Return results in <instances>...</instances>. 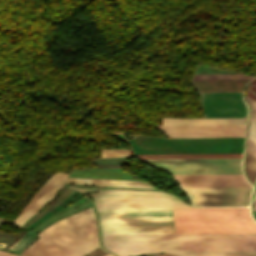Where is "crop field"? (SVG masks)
Instances as JSON below:
<instances>
[{"label": "crop field", "mask_w": 256, "mask_h": 256, "mask_svg": "<svg viewBox=\"0 0 256 256\" xmlns=\"http://www.w3.org/2000/svg\"><path fill=\"white\" fill-rule=\"evenodd\" d=\"M206 117H246L242 92L200 93Z\"/></svg>", "instance_id": "9"}, {"label": "crop field", "mask_w": 256, "mask_h": 256, "mask_svg": "<svg viewBox=\"0 0 256 256\" xmlns=\"http://www.w3.org/2000/svg\"><path fill=\"white\" fill-rule=\"evenodd\" d=\"M105 254H108V253L104 252L101 247H98L93 252H91L88 256H102Z\"/></svg>", "instance_id": "23"}, {"label": "crop field", "mask_w": 256, "mask_h": 256, "mask_svg": "<svg viewBox=\"0 0 256 256\" xmlns=\"http://www.w3.org/2000/svg\"><path fill=\"white\" fill-rule=\"evenodd\" d=\"M252 76L245 74H215V75H195L193 80H221V79H251Z\"/></svg>", "instance_id": "17"}, {"label": "crop field", "mask_w": 256, "mask_h": 256, "mask_svg": "<svg viewBox=\"0 0 256 256\" xmlns=\"http://www.w3.org/2000/svg\"><path fill=\"white\" fill-rule=\"evenodd\" d=\"M101 237L104 247L122 256L170 251L182 256L256 255V233L138 234ZM153 256L179 255L171 252Z\"/></svg>", "instance_id": "2"}, {"label": "crop field", "mask_w": 256, "mask_h": 256, "mask_svg": "<svg viewBox=\"0 0 256 256\" xmlns=\"http://www.w3.org/2000/svg\"><path fill=\"white\" fill-rule=\"evenodd\" d=\"M170 137L244 136L245 125L156 126Z\"/></svg>", "instance_id": "10"}, {"label": "crop field", "mask_w": 256, "mask_h": 256, "mask_svg": "<svg viewBox=\"0 0 256 256\" xmlns=\"http://www.w3.org/2000/svg\"><path fill=\"white\" fill-rule=\"evenodd\" d=\"M183 187L250 186L243 174L174 175Z\"/></svg>", "instance_id": "12"}, {"label": "crop field", "mask_w": 256, "mask_h": 256, "mask_svg": "<svg viewBox=\"0 0 256 256\" xmlns=\"http://www.w3.org/2000/svg\"><path fill=\"white\" fill-rule=\"evenodd\" d=\"M39 237L22 256H83L90 252L48 227Z\"/></svg>", "instance_id": "7"}, {"label": "crop field", "mask_w": 256, "mask_h": 256, "mask_svg": "<svg viewBox=\"0 0 256 256\" xmlns=\"http://www.w3.org/2000/svg\"><path fill=\"white\" fill-rule=\"evenodd\" d=\"M100 152H101V157L128 156V155H131L130 154V150H126V149H101Z\"/></svg>", "instance_id": "19"}, {"label": "crop field", "mask_w": 256, "mask_h": 256, "mask_svg": "<svg viewBox=\"0 0 256 256\" xmlns=\"http://www.w3.org/2000/svg\"><path fill=\"white\" fill-rule=\"evenodd\" d=\"M76 189L105 191L89 193L93 196L97 208L192 207L184 204L179 198L161 191Z\"/></svg>", "instance_id": "4"}, {"label": "crop field", "mask_w": 256, "mask_h": 256, "mask_svg": "<svg viewBox=\"0 0 256 256\" xmlns=\"http://www.w3.org/2000/svg\"><path fill=\"white\" fill-rule=\"evenodd\" d=\"M0 256H18V255L0 251Z\"/></svg>", "instance_id": "25"}, {"label": "crop field", "mask_w": 256, "mask_h": 256, "mask_svg": "<svg viewBox=\"0 0 256 256\" xmlns=\"http://www.w3.org/2000/svg\"><path fill=\"white\" fill-rule=\"evenodd\" d=\"M248 80L192 81L198 92L242 91Z\"/></svg>", "instance_id": "13"}, {"label": "crop field", "mask_w": 256, "mask_h": 256, "mask_svg": "<svg viewBox=\"0 0 256 256\" xmlns=\"http://www.w3.org/2000/svg\"><path fill=\"white\" fill-rule=\"evenodd\" d=\"M249 88L252 91L256 92V78L251 82ZM249 88H248L247 96H249L250 98L256 101V95L252 91H250Z\"/></svg>", "instance_id": "22"}, {"label": "crop field", "mask_w": 256, "mask_h": 256, "mask_svg": "<svg viewBox=\"0 0 256 256\" xmlns=\"http://www.w3.org/2000/svg\"><path fill=\"white\" fill-rule=\"evenodd\" d=\"M195 206L248 205L251 187L186 188Z\"/></svg>", "instance_id": "8"}, {"label": "crop field", "mask_w": 256, "mask_h": 256, "mask_svg": "<svg viewBox=\"0 0 256 256\" xmlns=\"http://www.w3.org/2000/svg\"><path fill=\"white\" fill-rule=\"evenodd\" d=\"M245 118H224V119H163L162 125H203V124H245Z\"/></svg>", "instance_id": "15"}, {"label": "crop field", "mask_w": 256, "mask_h": 256, "mask_svg": "<svg viewBox=\"0 0 256 256\" xmlns=\"http://www.w3.org/2000/svg\"><path fill=\"white\" fill-rule=\"evenodd\" d=\"M244 137L165 139L135 135V154L242 152Z\"/></svg>", "instance_id": "3"}, {"label": "crop field", "mask_w": 256, "mask_h": 256, "mask_svg": "<svg viewBox=\"0 0 256 256\" xmlns=\"http://www.w3.org/2000/svg\"><path fill=\"white\" fill-rule=\"evenodd\" d=\"M105 256H112V255L108 254V255H105Z\"/></svg>", "instance_id": "27"}, {"label": "crop field", "mask_w": 256, "mask_h": 256, "mask_svg": "<svg viewBox=\"0 0 256 256\" xmlns=\"http://www.w3.org/2000/svg\"><path fill=\"white\" fill-rule=\"evenodd\" d=\"M68 174L59 172L52 175L38 190L32 200L23 209L17 219L12 221L17 226L25 223L33 214H35L59 189Z\"/></svg>", "instance_id": "11"}, {"label": "crop field", "mask_w": 256, "mask_h": 256, "mask_svg": "<svg viewBox=\"0 0 256 256\" xmlns=\"http://www.w3.org/2000/svg\"><path fill=\"white\" fill-rule=\"evenodd\" d=\"M249 135L256 139V112L252 110Z\"/></svg>", "instance_id": "20"}, {"label": "crop field", "mask_w": 256, "mask_h": 256, "mask_svg": "<svg viewBox=\"0 0 256 256\" xmlns=\"http://www.w3.org/2000/svg\"><path fill=\"white\" fill-rule=\"evenodd\" d=\"M64 183L153 188L152 186H150L149 184H147L143 181H129V180H101V179L66 178Z\"/></svg>", "instance_id": "14"}, {"label": "crop field", "mask_w": 256, "mask_h": 256, "mask_svg": "<svg viewBox=\"0 0 256 256\" xmlns=\"http://www.w3.org/2000/svg\"><path fill=\"white\" fill-rule=\"evenodd\" d=\"M246 171L248 173V177L251 181H255L256 179V158L247 154L246 159Z\"/></svg>", "instance_id": "18"}, {"label": "crop field", "mask_w": 256, "mask_h": 256, "mask_svg": "<svg viewBox=\"0 0 256 256\" xmlns=\"http://www.w3.org/2000/svg\"><path fill=\"white\" fill-rule=\"evenodd\" d=\"M247 153L256 157V140L254 138H252L251 136H249V139H248Z\"/></svg>", "instance_id": "21"}, {"label": "crop field", "mask_w": 256, "mask_h": 256, "mask_svg": "<svg viewBox=\"0 0 256 256\" xmlns=\"http://www.w3.org/2000/svg\"><path fill=\"white\" fill-rule=\"evenodd\" d=\"M254 210H256V196H255V201H254Z\"/></svg>", "instance_id": "26"}, {"label": "crop field", "mask_w": 256, "mask_h": 256, "mask_svg": "<svg viewBox=\"0 0 256 256\" xmlns=\"http://www.w3.org/2000/svg\"><path fill=\"white\" fill-rule=\"evenodd\" d=\"M254 213H255V216H256V211H254Z\"/></svg>", "instance_id": "28"}, {"label": "crop field", "mask_w": 256, "mask_h": 256, "mask_svg": "<svg viewBox=\"0 0 256 256\" xmlns=\"http://www.w3.org/2000/svg\"><path fill=\"white\" fill-rule=\"evenodd\" d=\"M171 174L242 173L241 158L143 159Z\"/></svg>", "instance_id": "5"}, {"label": "crop field", "mask_w": 256, "mask_h": 256, "mask_svg": "<svg viewBox=\"0 0 256 256\" xmlns=\"http://www.w3.org/2000/svg\"><path fill=\"white\" fill-rule=\"evenodd\" d=\"M242 153L137 155L140 158L241 157Z\"/></svg>", "instance_id": "16"}, {"label": "crop field", "mask_w": 256, "mask_h": 256, "mask_svg": "<svg viewBox=\"0 0 256 256\" xmlns=\"http://www.w3.org/2000/svg\"><path fill=\"white\" fill-rule=\"evenodd\" d=\"M48 227L90 251L99 245L92 207L65 217Z\"/></svg>", "instance_id": "6"}, {"label": "crop field", "mask_w": 256, "mask_h": 256, "mask_svg": "<svg viewBox=\"0 0 256 256\" xmlns=\"http://www.w3.org/2000/svg\"><path fill=\"white\" fill-rule=\"evenodd\" d=\"M255 195H256V193H255Z\"/></svg>", "instance_id": "29"}, {"label": "crop field", "mask_w": 256, "mask_h": 256, "mask_svg": "<svg viewBox=\"0 0 256 256\" xmlns=\"http://www.w3.org/2000/svg\"><path fill=\"white\" fill-rule=\"evenodd\" d=\"M247 100L250 103L252 109H254L256 111V102L253 101L252 99H250L249 97H247Z\"/></svg>", "instance_id": "24"}, {"label": "crop field", "mask_w": 256, "mask_h": 256, "mask_svg": "<svg viewBox=\"0 0 256 256\" xmlns=\"http://www.w3.org/2000/svg\"><path fill=\"white\" fill-rule=\"evenodd\" d=\"M101 234L174 233L175 220L252 219L248 207L97 209ZM256 232L253 220L175 221V233Z\"/></svg>", "instance_id": "1"}]
</instances>
